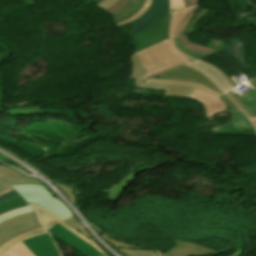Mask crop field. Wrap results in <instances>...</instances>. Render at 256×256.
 Listing matches in <instances>:
<instances>
[{"label": "crop field", "instance_id": "d3111659", "mask_svg": "<svg viewBox=\"0 0 256 256\" xmlns=\"http://www.w3.org/2000/svg\"><path fill=\"white\" fill-rule=\"evenodd\" d=\"M123 253L127 256H158L155 251H146V250H133V249H121Z\"/></svg>", "mask_w": 256, "mask_h": 256}, {"label": "crop field", "instance_id": "425ffa30", "mask_svg": "<svg viewBox=\"0 0 256 256\" xmlns=\"http://www.w3.org/2000/svg\"><path fill=\"white\" fill-rule=\"evenodd\" d=\"M21 1H23L25 4H28V5H31V6L35 5L34 0H21Z\"/></svg>", "mask_w": 256, "mask_h": 256}, {"label": "crop field", "instance_id": "1d83c4d3", "mask_svg": "<svg viewBox=\"0 0 256 256\" xmlns=\"http://www.w3.org/2000/svg\"><path fill=\"white\" fill-rule=\"evenodd\" d=\"M54 184L57 185L67 195V197L71 200L72 204L75 207V191L69 186L58 183Z\"/></svg>", "mask_w": 256, "mask_h": 256}, {"label": "crop field", "instance_id": "e52e79f7", "mask_svg": "<svg viewBox=\"0 0 256 256\" xmlns=\"http://www.w3.org/2000/svg\"><path fill=\"white\" fill-rule=\"evenodd\" d=\"M157 76L167 77V79H178L185 80L189 82H196L205 85L206 87L214 90L219 94H223L213 83H211L205 76L202 74L186 67L185 65L173 68L164 73H161Z\"/></svg>", "mask_w": 256, "mask_h": 256}, {"label": "crop field", "instance_id": "5a996713", "mask_svg": "<svg viewBox=\"0 0 256 256\" xmlns=\"http://www.w3.org/2000/svg\"><path fill=\"white\" fill-rule=\"evenodd\" d=\"M169 12L168 0H153L149 10L135 21V31L131 35L141 31Z\"/></svg>", "mask_w": 256, "mask_h": 256}, {"label": "crop field", "instance_id": "b80d0937", "mask_svg": "<svg viewBox=\"0 0 256 256\" xmlns=\"http://www.w3.org/2000/svg\"><path fill=\"white\" fill-rule=\"evenodd\" d=\"M227 94L244 111V113L248 116V118H252L253 115L251 116L248 110L241 104V102L235 97V95L231 91L227 92Z\"/></svg>", "mask_w": 256, "mask_h": 256}, {"label": "crop field", "instance_id": "5866460e", "mask_svg": "<svg viewBox=\"0 0 256 256\" xmlns=\"http://www.w3.org/2000/svg\"><path fill=\"white\" fill-rule=\"evenodd\" d=\"M128 0H118V2L111 8L105 10L108 13L114 14L118 12L121 8H123L127 4Z\"/></svg>", "mask_w": 256, "mask_h": 256}, {"label": "crop field", "instance_id": "0bd39190", "mask_svg": "<svg viewBox=\"0 0 256 256\" xmlns=\"http://www.w3.org/2000/svg\"><path fill=\"white\" fill-rule=\"evenodd\" d=\"M187 66H189V67H191V68L201 72L203 75H205L211 82H213L224 93L223 89L220 87L218 82L210 74H208L205 71H203L202 69L194 67V66H192L190 64H187Z\"/></svg>", "mask_w": 256, "mask_h": 256}, {"label": "crop field", "instance_id": "214f88e0", "mask_svg": "<svg viewBox=\"0 0 256 256\" xmlns=\"http://www.w3.org/2000/svg\"><path fill=\"white\" fill-rule=\"evenodd\" d=\"M144 83L147 84H158V85H181V86H190V87H194V88H199V89H203L212 93V90L200 85V84H195V83H189V82H185V81H178V80H162V79H154V78H149L147 81H145ZM217 94V93H215ZM219 95V94H217ZM221 96V95H219Z\"/></svg>", "mask_w": 256, "mask_h": 256}, {"label": "crop field", "instance_id": "34b2d1b8", "mask_svg": "<svg viewBox=\"0 0 256 256\" xmlns=\"http://www.w3.org/2000/svg\"><path fill=\"white\" fill-rule=\"evenodd\" d=\"M26 201L40 205L55 213L61 220L72 215L70 211L58 200L50 197L45 187L37 185H12Z\"/></svg>", "mask_w": 256, "mask_h": 256}, {"label": "crop field", "instance_id": "25e5ab78", "mask_svg": "<svg viewBox=\"0 0 256 256\" xmlns=\"http://www.w3.org/2000/svg\"><path fill=\"white\" fill-rule=\"evenodd\" d=\"M251 122L253 123L254 127L256 128V118L251 119Z\"/></svg>", "mask_w": 256, "mask_h": 256}, {"label": "crop field", "instance_id": "1f2cbd36", "mask_svg": "<svg viewBox=\"0 0 256 256\" xmlns=\"http://www.w3.org/2000/svg\"><path fill=\"white\" fill-rule=\"evenodd\" d=\"M256 79V77H254Z\"/></svg>", "mask_w": 256, "mask_h": 256}, {"label": "crop field", "instance_id": "e1f06a70", "mask_svg": "<svg viewBox=\"0 0 256 256\" xmlns=\"http://www.w3.org/2000/svg\"><path fill=\"white\" fill-rule=\"evenodd\" d=\"M100 237H102L104 240H106L108 243H110V244H111L112 246H114V247L140 249V248H138V247L129 246V245H125V244H123V243L115 242V241H113V240H111V239H109V238L103 236L102 234H101Z\"/></svg>", "mask_w": 256, "mask_h": 256}, {"label": "crop field", "instance_id": "03da06ac", "mask_svg": "<svg viewBox=\"0 0 256 256\" xmlns=\"http://www.w3.org/2000/svg\"><path fill=\"white\" fill-rule=\"evenodd\" d=\"M170 42H171L172 48L175 49L178 53L182 54L185 58H190V59H192V60H195V59H193V58H191V57L185 55L183 52L179 51V50L176 48V46L174 45L173 38H170Z\"/></svg>", "mask_w": 256, "mask_h": 256}, {"label": "crop field", "instance_id": "ae1a2a85", "mask_svg": "<svg viewBox=\"0 0 256 256\" xmlns=\"http://www.w3.org/2000/svg\"><path fill=\"white\" fill-rule=\"evenodd\" d=\"M184 63H187L186 59L180 60V61H177V62H173V63L167 64V65L161 66L159 68H156L154 70H151V71L146 73V75L143 78V81L146 80L147 78H149L152 75H156V74L161 73L163 71H166V70H168V69H170V68H172L176 65H180V64H184Z\"/></svg>", "mask_w": 256, "mask_h": 256}, {"label": "crop field", "instance_id": "5d738f31", "mask_svg": "<svg viewBox=\"0 0 256 256\" xmlns=\"http://www.w3.org/2000/svg\"><path fill=\"white\" fill-rule=\"evenodd\" d=\"M11 188L9 185L3 183V182H0V192L4 191V190H7Z\"/></svg>", "mask_w": 256, "mask_h": 256}, {"label": "crop field", "instance_id": "120bbe31", "mask_svg": "<svg viewBox=\"0 0 256 256\" xmlns=\"http://www.w3.org/2000/svg\"><path fill=\"white\" fill-rule=\"evenodd\" d=\"M174 41H175V44L176 46L178 47V49L182 50L184 53L194 57V58H200L204 55L200 54V53H197V52H194V51H190V50H187L183 47V45L181 44L179 38H174Z\"/></svg>", "mask_w": 256, "mask_h": 256}, {"label": "crop field", "instance_id": "750c4746", "mask_svg": "<svg viewBox=\"0 0 256 256\" xmlns=\"http://www.w3.org/2000/svg\"><path fill=\"white\" fill-rule=\"evenodd\" d=\"M63 221L68 223L70 226H72L76 230L80 231L83 235H85V236L89 237L91 240H93V238L87 233V231L81 226V224L75 219V217L73 215L68 217V218H66Z\"/></svg>", "mask_w": 256, "mask_h": 256}, {"label": "crop field", "instance_id": "73cf0c24", "mask_svg": "<svg viewBox=\"0 0 256 256\" xmlns=\"http://www.w3.org/2000/svg\"><path fill=\"white\" fill-rule=\"evenodd\" d=\"M91 2H93L95 5H97L101 0H90Z\"/></svg>", "mask_w": 256, "mask_h": 256}, {"label": "crop field", "instance_id": "c035e120", "mask_svg": "<svg viewBox=\"0 0 256 256\" xmlns=\"http://www.w3.org/2000/svg\"><path fill=\"white\" fill-rule=\"evenodd\" d=\"M117 0H103L97 6L106 9L116 3Z\"/></svg>", "mask_w": 256, "mask_h": 256}, {"label": "crop field", "instance_id": "3316defc", "mask_svg": "<svg viewBox=\"0 0 256 256\" xmlns=\"http://www.w3.org/2000/svg\"><path fill=\"white\" fill-rule=\"evenodd\" d=\"M35 256H60L52 237L49 234L36 236L23 241Z\"/></svg>", "mask_w": 256, "mask_h": 256}, {"label": "crop field", "instance_id": "a9b5d70f", "mask_svg": "<svg viewBox=\"0 0 256 256\" xmlns=\"http://www.w3.org/2000/svg\"><path fill=\"white\" fill-rule=\"evenodd\" d=\"M0 256H34L32 252L21 242L9 249L5 254L0 253Z\"/></svg>", "mask_w": 256, "mask_h": 256}, {"label": "crop field", "instance_id": "bd1437ed", "mask_svg": "<svg viewBox=\"0 0 256 256\" xmlns=\"http://www.w3.org/2000/svg\"><path fill=\"white\" fill-rule=\"evenodd\" d=\"M209 9H205V8H202L198 13L197 15L193 18V20L190 22L184 36L186 34H189L192 32V30L194 29L195 25L197 24V22L207 13Z\"/></svg>", "mask_w": 256, "mask_h": 256}, {"label": "crop field", "instance_id": "412701ff", "mask_svg": "<svg viewBox=\"0 0 256 256\" xmlns=\"http://www.w3.org/2000/svg\"><path fill=\"white\" fill-rule=\"evenodd\" d=\"M137 55L141 60L142 68H146L147 71L173 61L184 59L172 50L168 39L138 52Z\"/></svg>", "mask_w": 256, "mask_h": 256}, {"label": "crop field", "instance_id": "d8731c3e", "mask_svg": "<svg viewBox=\"0 0 256 256\" xmlns=\"http://www.w3.org/2000/svg\"><path fill=\"white\" fill-rule=\"evenodd\" d=\"M33 209L36 211L39 221L41 223V225L47 230L49 228H51L52 226H54L55 224H60L63 227H65L66 229H68L69 231H71L72 233H74L75 235H77L78 237H80L81 239H83L85 242H87L88 244H90L91 246H93L95 249H97L99 252H101L103 255L108 256L105 252H103L94 242H92L89 238L83 236L81 233H79L78 231H76L75 229H73L72 227H70L69 225H67L65 222L61 221L56 215L50 213L49 211H47L46 209L39 207L37 205H34L32 203H29Z\"/></svg>", "mask_w": 256, "mask_h": 256}, {"label": "crop field", "instance_id": "b54c1fbb", "mask_svg": "<svg viewBox=\"0 0 256 256\" xmlns=\"http://www.w3.org/2000/svg\"><path fill=\"white\" fill-rule=\"evenodd\" d=\"M182 1L185 7L198 4V0H182Z\"/></svg>", "mask_w": 256, "mask_h": 256}, {"label": "crop field", "instance_id": "f4fd0767", "mask_svg": "<svg viewBox=\"0 0 256 256\" xmlns=\"http://www.w3.org/2000/svg\"><path fill=\"white\" fill-rule=\"evenodd\" d=\"M170 25V13L146 29L134 35L137 43L136 52L155 44L168 37Z\"/></svg>", "mask_w": 256, "mask_h": 256}, {"label": "crop field", "instance_id": "4177f3b9", "mask_svg": "<svg viewBox=\"0 0 256 256\" xmlns=\"http://www.w3.org/2000/svg\"><path fill=\"white\" fill-rule=\"evenodd\" d=\"M28 204L27 202H25L21 196L14 198L12 200H9L3 204L0 205V214L12 209V208H17L23 205Z\"/></svg>", "mask_w": 256, "mask_h": 256}, {"label": "crop field", "instance_id": "ac0d7876", "mask_svg": "<svg viewBox=\"0 0 256 256\" xmlns=\"http://www.w3.org/2000/svg\"><path fill=\"white\" fill-rule=\"evenodd\" d=\"M34 210L29 206L0 215V246L9 239L41 229Z\"/></svg>", "mask_w": 256, "mask_h": 256}, {"label": "crop field", "instance_id": "028f5c9d", "mask_svg": "<svg viewBox=\"0 0 256 256\" xmlns=\"http://www.w3.org/2000/svg\"><path fill=\"white\" fill-rule=\"evenodd\" d=\"M232 112L240 111L239 108L226 96V94L219 97Z\"/></svg>", "mask_w": 256, "mask_h": 256}, {"label": "crop field", "instance_id": "28ad6ade", "mask_svg": "<svg viewBox=\"0 0 256 256\" xmlns=\"http://www.w3.org/2000/svg\"><path fill=\"white\" fill-rule=\"evenodd\" d=\"M187 98L201 102L205 108L207 118L213 116L216 112L227 110L218 96L206 91L197 89Z\"/></svg>", "mask_w": 256, "mask_h": 256}, {"label": "crop field", "instance_id": "22f410ed", "mask_svg": "<svg viewBox=\"0 0 256 256\" xmlns=\"http://www.w3.org/2000/svg\"><path fill=\"white\" fill-rule=\"evenodd\" d=\"M197 6H191L187 8L177 9L172 12V23L170 36H178L187 20L195 12Z\"/></svg>", "mask_w": 256, "mask_h": 256}, {"label": "crop field", "instance_id": "dafd665d", "mask_svg": "<svg viewBox=\"0 0 256 256\" xmlns=\"http://www.w3.org/2000/svg\"><path fill=\"white\" fill-rule=\"evenodd\" d=\"M46 233H48V232L45 231L44 229H41V230L29 232L27 234L13 238V239L9 240L6 244H4L0 247V252L4 253L6 250H8L10 247H12L13 245H15L16 243H18L20 241L34 237L36 235H41V234H46Z\"/></svg>", "mask_w": 256, "mask_h": 256}, {"label": "crop field", "instance_id": "d23c7cc5", "mask_svg": "<svg viewBox=\"0 0 256 256\" xmlns=\"http://www.w3.org/2000/svg\"><path fill=\"white\" fill-rule=\"evenodd\" d=\"M195 16V14L192 15V17L189 19V21L186 23L185 27L183 28V30L181 31V33L179 34V37L183 35L188 23L192 20V18Z\"/></svg>", "mask_w": 256, "mask_h": 256}, {"label": "crop field", "instance_id": "eef30255", "mask_svg": "<svg viewBox=\"0 0 256 256\" xmlns=\"http://www.w3.org/2000/svg\"><path fill=\"white\" fill-rule=\"evenodd\" d=\"M151 2H152V0H145L143 6L135 14H133L132 16L128 17L127 19H125L123 21L116 23L117 26L131 22V21L139 18L140 16H142L147 11V9L150 7Z\"/></svg>", "mask_w": 256, "mask_h": 256}, {"label": "crop field", "instance_id": "00972430", "mask_svg": "<svg viewBox=\"0 0 256 256\" xmlns=\"http://www.w3.org/2000/svg\"><path fill=\"white\" fill-rule=\"evenodd\" d=\"M131 62H132V66H133V74L131 76V78L135 79V84L138 85L140 83H142V77L145 75V73L147 72L146 69H141L140 66V61L137 58L136 54H132L131 56H129Z\"/></svg>", "mask_w": 256, "mask_h": 256}, {"label": "crop field", "instance_id": "d9b57169", "mask_svg": "<svg viewBox=\"0 0 256 256\" xmlns=\"http://www.w3.org/2000/svg\"><path fill=\"white\" fill-rule=\"evenodd\" d=\"M253 128L249 120L244 116L242 112L233 114L232 121L228 125L215 127L213 131H227V130H242Z\"/></svg>", "mask_w": 256, "mask_h": 256}, {"label": "crop field", "instance_id": "8a807250", "mask_svg": "<svg viewBox=\"0 0 256 256\" xmlns=\"http://www.w3.org/2000/svg\"><path fill=\"white\" fill-rule=\"evenodd\" d=\"M246 49V43L234 37L230 43L222 47L221 50L201 59L223 71L233 83L234 87H236L240 84L237 82L234 74L244 72L249 79L256 76L255 71L253 72L245 60Z\"/></svg>", "mask_w": 256, "mask_h": 256}, {"label": "crop field", "instance_id": "92a150f3", "mask_svg": "<svg viewBox=\"0 0 256 256\" xmlns=\"http://www.w3.org/2000/svg\"><path fill=\"white\" fill-rule=\"evenodd\" d=\"M256 85V80L251 79ZM239 100L243 103V105L249 110V112L256 117V88L248 91L242 98Z\"/></svg>", "mask_w": 256, "mask_h": 256}, {"label": "crop field", "instance_id": "cbeb9de0", "mask_svg": "<svg viewBox=\"0 0 256 256\" xmlns=\"http://www.w3.org/2000/svg\"><path fill=\"white\" fill-rule=\"evenodd\" d=\"M0 180L5 181L9 183L10 185L12 184H38L42 185L40 182L30 179L28 177H23L20 175L18 172L15 170L4 167L0 165ZM43 186V185H42Z\"/></svg>", "mask_w": 256, "mask_h": 256}, {"label": "crop field", "instance_id": "d1516ede", "mask_svg": "<svg viewBox=\"0 0 256 256\" xmlns=\"http://www.w3.org/2000/svg\"><path fill=\"white\" fill-rule=\"evenodd\" d=\"M177 246L174 250L167 252L166 254L172 256H205L216 251L203 248L199 245L177 241Z\"/></svg>", "mask_w": 256, "mask_h": 256}, {"label": "crop field", "instance_id": "c21b1889", "mask_svg": "<svg viewBox=\"0 0 256 256\" xmlns=\"http://www.w3.org/2000/svg\"><path fill=\"white\" fill-rule=\"evenodd\" d=\"M170 2H171V9L184 7L181 0H170Z\"/></svg>", "mask_w": 256, "mask_h": 256}, {"label": "crop field", "instance_id": "5142ce71", "mask_svg": "<svg viewBox=\"0 0 256 256\" xmlns=\"http://www.w3.org/2000/svg\"><path fill=\"white\" fill-rule=\"evenodd\" d=\"M149 167L145 166L141 169H138L134 172H130L122 181L116 185H112L110 197L108 200L117 202L120 196L125 192V190L137 179L139 171L148 169Z\"/></svg>", "mask_w": 256, "mask_h": 256}, {"label": "crop field", "instance_id": "dd49c442", "mask_svg": "<svg viewBox=\"0 0 256 256\" xmlns=\"http://www.w3.org/2000/svg\"><path fill=\"white\" fill-rule=\"evenodd\" d=\"M53 236L57 237L58 239L62 240L63 242L67 243L77 251H79L84 256H103L93 247L82 241L80 238L66 230L65 228L61 227L60 225H55L51 229L47 230Z\"/></svg>", "mask_w": 256, "mask_h": 256}, {"label": "crop field", "instance_id": "733c2abd", "mask_svg": "<svg viewBox=\"0 0 256 256\" xmlns=\"http://www.w3.org/2000/svg\"><path fill=\"white\" fill-rule=\"evenodd\" d=\"M192 64L211 72L212 75L219 81V83L225 89V91H229L230 89L234 88L232 83L225 76V74L222 73L220 70H218L216 67H214L202 60H196V61L192 62Z\"/></svg>", "mask_w": 256, "mask_h": 256}, {"label": "crop field", "instance_id": "4a817a6b", "mask_svg": "<svg viewBox=\"0 0 256 256\" xmlns=\"http://www.w3.org/2000/svg\"><path fill=\"white\" fill-rule=\"evenodd\" d=\"M138 87H144L149 89H166L165 95L168 96H178V97H187L190 95L194 90V88L190 87H181V86H157V85H147L141 84Z\"/></svg>", "mask_w": 256, "mask_h": 256}, {"label": "crop field", "instance_id": "730fd06b", "mask_svg": "<svg viewBox=\"0 0 256 256\" xmlns=\"http://www.w3.org/2000/svg\"><path fill=\"white\" fill-rule=\"evenodd\" d=\"M181 42L183 43L184 47L188 48V49H191V50H194V51H197V52H200V53H203L205 55H208L212 52H214V50H210V49H207L205 47H202V46H199L197 44H194L192 42H190L188 39H187V36L183 37V38H180Z\"/></svg>", "mask_w": 256, "mask_h": 256}, {"label": "crop field", "instance_id": "bc2a9ffb", "mask_svg": "<svg viewBox=\"0 0 256 256\" xmlns=\"http://www.w3.org/2000/svg\"><path fill=\"white\" fill-rule=\"evenodd\" d=\"M143 1L144 0H129L125 8L121 9L118 13L113 15L114 22L116 23L117 21H120L135 13L143 4Z\"/></svg>", "mask_w": 256, "mask_h": 256}, {"label": "crop field", "instance_id": "d32e631a", "mask_svg": "<svg viewBox=\"0 0 256 256\" xmlns=\"http://www.w3.org/2000/svg\"><path fill=\"white\" fill-rule=\"evenodd\" d=\"M17 196H19V194H17L13 190V188H11V189H9V190H7L5 192H2V193H0V204L5 202V201H7V200H9V199L17 197Z\"/></svg>", "mask_w": 256, "mask_h": 256}, {"label": "crop field", "instance_id": "89e229c0", "mask_svg": "<svg viewBox=\"0 0 256 256\" xmlns=\"http://www.w3.org/2000/svg\"><path fill=\"white\" fill-rule=\"evenodd\" d=\"M161 256H169V255H166V254L161 253Z\"/></svg>", "mask_w": 256, "mask_h": 256}]
</instances>
